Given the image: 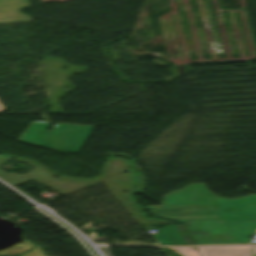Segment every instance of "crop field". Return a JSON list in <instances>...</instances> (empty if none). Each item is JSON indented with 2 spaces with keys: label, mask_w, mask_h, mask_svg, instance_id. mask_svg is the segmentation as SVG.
<instances>
[{
  "label": "crop field",
  "mask_w": 256,
  "mask_h": 256,
  "mask_svg": "<svg viewBox=\"0 0 256 256\" xmlns=\"http://www.w3.org/2000/svg\"><path fill=\"white\" fill-rule=\"evenodd\" d=\"M147 209L152 216L179 222L251 220L256 219V195L223 199L198 183L166 195L161 206Z\"/></svg>",
  "instance_id": "1"
},
{
  "label": "crop field",
  "mask_w": 256,
  "mask_h": 256,
  "mask_svg": "<svg viewBox=\"0 0 256 256\" xmlns=\"http://www.w3.org/2000/svg\"><path fill=\"white\" fill-rule=\"evenodd\" d=\"M51 123L33 122L20 142L65 152L79 153L94 126L56 124L47 131Z\"/></svg>",
  "instance_id": "2"
},
{
  "label": "crop field",
  "mask_w": 256,
  "mask_h": 256,
  "mask_svg": "<svg viewBox=\"0 0 256 256\" xmlns=\"http://www.w3.org/2000/svg\"><path fill=\"white\" fill-rule=\"evenodd\" d=\"M196 245L250 243L256 220L186 223Z\"/></svg>",
  "instance_id": "3"
},
{
  "label": "crop field",
  "mask_w": 256,
  "mask_h": 256,
  "mask_svg": "<svg viewBox=\"0 0 256 256\" xmlns=\"http://www.w3.org/2000/svg\"><path fill=\"white\" fill-rule=\"evenodd\" d=\"M155 238L159 245H193L184 225H167L159 229Z\"/></svg>",
  "instance_id": "4"
},
{
  "label": "crop field",
  "mask_w": 256,
  "mask_h": 256,
  "mask_svg": "<svg viewBox=\"0 0 256 256\" xmlns=\"http://www.w3.org/2000/svg\"><path fill=\"white\" fill-rule=\"evenodd\" d=\"M193 248L196 247H178L174 249L180 251L183 256H200L198 250L193 251Z\"/></svg>",
  "instance_id": "5"
}]
</instances>
